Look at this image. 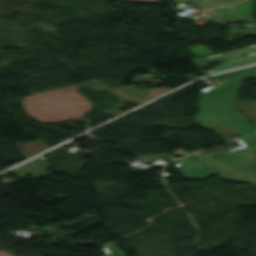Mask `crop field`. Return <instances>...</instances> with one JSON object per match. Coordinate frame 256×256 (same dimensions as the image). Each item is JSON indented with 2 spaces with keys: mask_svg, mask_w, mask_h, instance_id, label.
<instances>
[{
  "mask_svg": "<svg viewBox=\"0 0 256 256\" xmlns=\"http://www.w3.org/2000/svg\"><path fill=\"white\" fill-rule=\"evenodd\" d=\"M254 75H256V66L211 76L217 85L202 90L199 101L201 111L193 119L202 126L229 127L241 135L256 131L234 109L242 80L252 78Z\"/></svg>",
  "mask_w": 256,
  "mask_h": 256,
  "instance_id": "crop-field-1",
  "label": "crop field"
},
{
  "mask_svg": "<svg viewBox=\"0 0 256 256\" xmlns=\"http://www.w3.org/2000/svg\"><path fill=\"white\" fill-rule=\"evenodd\" d=\"M173 162L176 163L182 175L187 177L188 179L210 174H217L223 178L230 179L236 182H244L256 185V180L225 172L200 156L191 155Z\"/></svg>",
  "mask_w": 256,
  "mask_h": 256,
  "instance_id": "crop-field-2",
  "label": "crop field"
},
{
  "mask_svg": "<svg viewBox=\"0 0 256 256\" xmlns=\"http://www.w3.org/2000/svg\"><path fill=\"white\" fill-rule=\"evenodd\" d=\"M203 156L223 170L256 178V164L245 167L238 160L234 158H227L222 152H211Z\"/></svg>",
  "mask_w": 256,
  "mask_h": 256,
  "instance_id": "crop-field-3",
  "label": "crop field"
},
{
  "mask_svg": "<svg viewBox=\"0 0 256 256\" xmlns=\"http://www.w3.org/2000/svg\"><path fill=\"white\" fill-rule=\"evenodd\" d=\"M43 155L25 163L22 164L14 169H12V171H14L17 175H19L22 178H31V177H25L23 174H27V173H31L34 176H36L35 178H39L45 175H49V173H47L45 170L47 169V167L49 166V164L47 163L46 159L42 157ZM32 178V179H35Z\"/></svg>",
  "mask_w": 256,
  "mask_h": 256,
  "instance_id": "crop-field-4",
  "label": "crop field"
},
{
  "mask_svg": "<svg viewBox=\"0 0 256 256\" xmlns=\"http://www.w3.org/2000/svg\"><path fill=\"white\" fill-rule=\"evenodd\" d=\"M237 139L251 152L252 156L256 158V155L254 153V151H256V132L243 135L242 137Z\"/></svg>",
  "mask_w": 256,
  "mask_h": 256,
  "instance_id": "crop-field-5",
  "label": "crop field"
},
{
  "mask_svg": "<svg viewBox=\"0 0 256 256\" xmlns=\"http://www.w3.org/2000/svg\"><path fill=\"white\" fill-rule=\"evenodd\" d=\"M226 156L228 157H246V158H253L251 156V154L249 153V151L241 146L239 148L236 149H232V150H228V151H224L223 152Z\"/></svg>",
  "mask_w": 256,
  "mask_h": 256,
  "instance_id": "crop-field-6",
  "label": "crop field"
},
{
  "mask_svg": "<svg viewBox=\"0 0 256 256\" xmlns=\"http://www.w3.org/2000/svg\"><path fill=\"white\" fill-rule=\"evenodd\" d=\"M104 251L108 253V256H123L122 251L118 250L113 244L104 246Z\"/></svg>",
  "mask_w": 256,
  "mask_h": 256,
  "instance_id": "crop-field-7",
  "label": "crop field"
},
{
  "mask_svg": "<svg viewBox=\"0 0 256 256\" xmlns=\"http://www.w3.org/2000/svg\"><path fill=\"white\" fill-rule=\"evenodd\" d=\"M240 160L245 166L256 163V159H245V158H236Z\"/></svg>",
  "mask_w": 256,
  "mask_h": 256,
  "instance_id": "crop-field-8",
  "label": "crop field"
}]
</instances>
